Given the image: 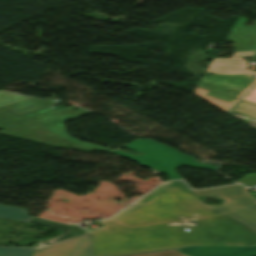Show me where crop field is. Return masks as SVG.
<instances>
[{
  "label": "crop field",
  "mask_w": 256,
  "mask_h": 256,
  "mask_svg": "<svg viewBox=\"0 0 256 256\" xmlns=\"http://www.w3.org/2000/svg\"><path fill=\"white\" fill-rule=\"evenodd\" d=\"M246 18L237 17L228 40L237 41V53L230 59H213L193 93L223 110L234 104L255 82L240 58L256 57V25H243ZM256 22V20H255Z\"/></svg>",
  "instance_id": "2"
},
{
  "label": "crop field",
  "mask_w": 256,
  "mask_h": 256,
  "mask_svg": "<svg viewBox=\"0 0 256 256\" xmlns=\"http://www.w3.org/2000/svg\"><path fill=\"white\" fill-rule=\"evenodd\" d=\"M231 111L239 113L244 117L256 120V105L239 101Z\"/></svg>",
  "instance_id": "11"
},
{
  "label": "crop field",
  "mask_w": 256,
  "mask_h": 256,
  "mask_svg": "<svg viewBox=\"0 0 256 256\" xmlns=\"http://www.w3.org/2000/svg\"><path fill=\"white\" fill-rule=\"evenodd\" d=\"M48 103L44 100L32 98L23 102H19L10 106H6V108L10 109L11 111L22 115L26 113H30L33 111H37L40 109L48 108Z\"/></svg>",
  "instance_id": "8"
},
{
  "label": "crop field",
  "mask_w": 256,
  "mask_h": 256,
  "mask_svg": "<svg viewBox=\"0 0 256 256\" xmlns=\"http://www.w3.org/2000/svg\"><path fill=\"white\" fill-rule=\"evenodd\" d=\"M73 108L75 107L70 106L62 110L48 108V109L40 110L30 114L22 115V116L46 128L47 130L61 136L62 138L66 139L67 141L73 144L92 147V148H95V150L110 152L111 151L110 149H106L100 145H93V144L81 142L66 135L65 129L62 124L64 120L77 117L80 115H84L87 113H91L86 110L80 109L78 107H77L78 110L74 111L72 110Z\"/></svg>",
  "instance_id": "6"
},
{
  "label": "crop field",
  "mask_w": 256,
  "mask_h": 256,
  "mask_svg": "<svg viewBox=\"0 0 256 256\" xmlns=\"http://www.w3.org/2000/svg\"><path fill=\"white\" fill-rule=\"evenodd\" d=\"M242 100L256 104V85L242 98Z\"/></svg>",
  "instance_id": "14"
},
{
  "label": "crop field",
  "mask_w": 256,
  "mask_h": 256,
  "mask_svg": "<svg viewBox=\"0 0 256 256\" xmlns=\"http://www.w3.org/2000/svg\"><path fill=\"white\" fill-rule=\"evenodd\" d=\"M0 218L29 222L31 216L23 208L0 205Z\"/></svg>",
  "instance_id": "9"
},
{
  "label": "crop field",
  "mask_w": 256,
  "mask_h": 256,
  "mask_svg": "<svg viewBox=\"0 0 256 256\" xmlns=\"http://www.w3.org/2000/svg\"><path fill=\"white\" fill-rule=\"evenodd\" d=\"M31 223L42 224L61 230L57 238L42 242V248L36 249L32 256H92L90 234L70 225H64L32 217Z\"/></svg>",
  "instance_id": "4"
},
{
  "label": "crop field",
  "mask_w": 256,
  "mask_h": 256,
  "mask_svg": "<svg viewBox=\"0 0 256 256\" xmlns=\"http://www.w3.org/2000/svg\"><path fill=\"white\" fill-rule=\"evenodd\" d=\"M128 148L144 153L142 156H133L118 150L111 153L126 157L141 164L166 173L170 180L182 179L174 170L182 165L216 170L217 167L198 164L187 155L179 153L171 148L159 144L151 139H138L127 145Z\"/></svg>",
  "instance_id": "3"
},
{
  "label": "crop field",
  "mask_w": 256,
  "mask_h": 256,
  "mask_svg": "<svg viewBox=\"0 0 256 256\" xmlns=\"http://www.w3.org/2000/svg\"><path fill=\"white\" fill-rule=\"evenodd\" d=\"M36 247H0V256H31Z\"/></svg>",
  "instance_id": "10"
},
{
  "label": "crop field",
  "mask_w": 256,
  "mask_h": 256,
  "mask_svg": "<svg viewBox=\"0 0 256 256\" xmlns=\"http://www.w3.org/2000/svg\"><path fill=\"white\" fill-rule=\"evenodd\" d=\"M125 256H188L176 250H166V251H155V252H147V253H140V254H132V255H125Z\"/></svg>",
  "instance_id": "12"
},
{
  "label": "crop field",
  "mask_w": 256,
  "mask_h": 256,
  "mask_svg": "<svg viewBox=\"0 0 256 256\" xmlns=\"http://www.w3.org/2000/svg\"><path fill=\"white\" fill-rule=\"evenodd\" d=\"M0 133L67 149L83 150L93 152L92 148L80 147L73 145L61 137L47 131L46 129L34 124L33 122L18 116L10 110L0 108ZM63 141L68 144L62 143ZM71 145L75 148L67 147Z\"/></svg>",
  "instance_id": "5"
},
{
  "label": "crop field",
  "mask_w": 256,
  "mask_h": 256,
  "mask_svg": "<svg viewBox=\"0 0 256 256\" xmlns=\"http://www.w3.org/2000/svg\"><path fill=\"white\" fill-rule=\"evenodd\" d=\"M161 199L101 221L91 234L94 255H118L187 245L256 244V201L241 185L195 191L171 181L155 189ZM198 196L224 199L204 205ZM198 214V216H194ZM191 231L186 232L183 229Z\"/></svg>",
  "instance_id": "1"
},
{
  "label": "crop field",
  "mask_w": 256,
  "mask_h": 256,
  "mask_svg": "<svg viewBox=\"0 0 256 256\" xmlns=\"http://www.w3.org/2000/svg\"><path fill=\"white\" fill-rule=\"evenodd\" d=\"M191 256H256L255 247H188L177 249Z\"/></svg>",
  "instance_id": "7"
},
{
  "label": "crop field",
  "mask_w": 256,
  "mask_h": 256,
  "mask_svg": "<svg viewBox=\"0 0 256 256\" xmlns=\"http://www.w3.org/2000/svg\"><path fill=\"white\" fill-rule=\"evenodd\" d=\"M160 198V196L158 195V193L154 190L152 192H150L149 194H147L146 196L142 197L141 199H139L138 201H136L135 203H133L131 206H129L127 209H125L124 211L122 212H125V211H128L134 207H137L141 204H144V203H147V202H150L152 200H155V199H158ZM120 212V213H122ZM119 213V214H120Z\"/></svg>",
  "instance_id": "13"
}]
</instances>
